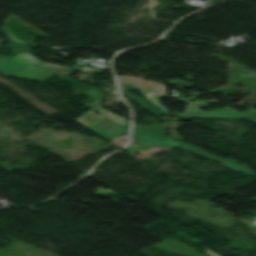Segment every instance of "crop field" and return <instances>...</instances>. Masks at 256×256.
Listing matches in <instances>:
<instances>
[{"label":"crop field","mask_w":256,"mask_h":256,"mask_svg":"<svg viewBox=\"0 0 256 256\" xmlns=\"http://www.w3.org/2000/svg\"><path fill=\"white\" fill-rule=\"evenodd\" d=\"M136 134H139V135H142V136H145V137L157 140V141L158 140L164 141V142H167V143H170V144H174V145H177V144L180 143V142H176V141H173V140L165 139V138H162V137H158V136L147 134V133L140 132V131H137Z\"/></svg>","instance_id":"obj_4"},{"label":"crop field","mask_w":256,"mask_h":256,"mask_svg":"<svg viewBox=\"0 0 256 256\" xmlns=\"http://www.w3.org/2000/svg\"><path fill=\"white\" fill-rule=\"evenodd\" d=\"M129 88H133V89H135V90H137V91H140L138 88H136L135 86H130ZM152 89L154 90V92H155V94L156 95H159V94H165V88H164V86H162V85H157L156 87H152ZM152 90V91H153ZM153 92V93H154ZM154 94V95H155Z\"/></svg>","instance_id":"obj_6"},{"label":"crop field","mask_w":256,"mask_h":256,"mask_svg":"<svg viewBox=\"0 0 256 256\" xmlns=\"http://www.w3.org/2000/svg\"><path fill=\"white\" fill-rule=\"evenodd\" d=\"M180 148H184V149H187L189 151H192V152H195L197 154H200V155H203L205 157H208V158H210L212 160H215L217 162H220V163L224 164L228 168L238 170V171H240V172H242L244 174H253L252 170H249L247 168L239 166V165H237V164H235V163H233V162H231L229 160L223 159L221 157H217V156H213L211 154H208V153L204 152L202 149H198V148H196L194 146L184 144V145L180 146Z\"/></svg>","instance_id":"obj_3"},{"label":"crop field","mask_w":256,"mask_h":256,"mask_svg":"<svg viewBox=\"0 0 256 256\" xmlns=\"http://www.w3.org/2000/svg\"><path fill=\"white\" fill-rule=\"evenodd\" d=\"M8 46H12L15 47L17 50H15L14 52L16 53V55L14 56H1L0 55V61L3 59H6L14 64H17L23 68L27 67L28 65H30L31 63H33L34 61H36L37 59L33 58L32 56L28 55L30 50L29 48H27L25 45L23 44H19V43H14ZM108 119L118 123V124H122V125H127L129 126V121L126 119H123L119 116H116L112 113H110Z\"/></svg>","instance_id":"obj_1"},{"label":"crop field","mask_w":256,"mask_h":256,"mask_svg":"<svg viewBox=\"0 0 256 256\" xmlns=\"http://www.w3.org/2000/svg\"><path fill=\"white\" fill-rule=\"evenodd\" d=\"M2 30L7 34L8 38L11 40H18L24 42V40H19L10 30L8 26H2ZM5 34V35H6Z\"/></svg>","instance_id":"obj_7"},{"label":"crop field","mask_w":256,"mask_h":256,"mask_svg":"<svg viewBox=\"0 0 256 256\" xmlns=\"http://www.w3.org/2000/svg\"><path fill=\"white\" fill-rule=\"evenodd\" d=\"M168 82H172V83H177V84H181L182 83V81H180V80H177V79H175V80H173V81H170V80H167Z\"/></svg>","instance_id":"obj_8"},{"label":"crop field","mask_w":256,"mask_h":256,"mask_svg":"<svg viewBox=\"0 0 256 256\" xmlns=\"http://www.w3.org/2000/svg\"><path fill=\"white\" fill-rule=\"evenodd\" d=\"M92 113L93 111H89L85 114V116L89 117L90 119H85L84 117L81 116L80 118L76 119V121L85 125L92 131L100 134L104 138L107 137L109 134L114 133L119 128H121L113 124L109 120L103 118L102 116H95ZM93 119H97V121Z\"/></svg>","instance_id":"obj_2"},{"label":"crop field","mask_w":256,"mask_h":256,"mask_svg":"<svg viewBox=\"0 0 256 256\" xmlns=\"http://www.w3.org/2000/svg\"><path fill=\"white\" fill-rule=\"evenodd\" d=\"M108 193H110V194H112V195H114V196H116V197H118V198L115 199V198H113V197L107 195ZM94 194L100 195V196H108V197L111 198L112 201H114V202H116V203H117V200L121 199V198H119L120 196H118V195H116L115 193H113L112 191H110V190H108V189H104V188H102V187L96 189V191H95Z\"/></svg>","instance_id":"obj_5"}]
</instances>
